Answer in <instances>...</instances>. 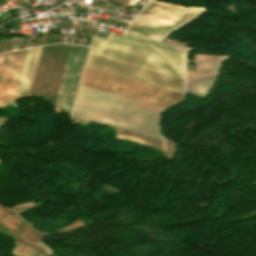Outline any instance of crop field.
<instances>
[{
    "label": "crop field",
    "instance_id": "13",
    "mask_svg": "<svg viewBox=\"0 0 256 256\" xmlns=\"http://www.w3.org/2000/svg\"><path fill=\"white\" fill-rule=\"evenodd\" d=\"M97 30L98 29H96V28L85 26V28L82 32V35L88 36V37H93V35L96 33Z\"/></svg>",
    "mask_w": 256,
    "mask_h": 256
},
{
    "label": "crop field",
    "instance_id": "9",
    "mask_svg": "<svg viewBox=\"0 0 256 256\" xmlns=\"http://www.w3.org/2000/svg\"><path fill=\"white\" fill-rule=\"evenodd\" d=\"M218 74L186 71V92L204 98Z\"/></svg>",
    "mask_w": 256,
    "mask_h": 256
},
{
    "label": "crop field",
    "instance_id": "11",
    "mask_svg": "<svg viewBox=\"0 0 256 256\" xmlns=\"http://www.w3.org/2000/svg\"><path fill=\"white\" fill-rule=\"evenodd\" d=\"M117 138L134 141L163 150V141L118 129Z\"/></svg>",
    "mask_w": 256,
    "mask_h": 256
},
{
    "label": "crop field",
    "instance_id": "17",
    "mask_svg": "<svg viewBox=\"0 0 256 256\" xmlns=\"http://www.w3.org/2000/svg\"><path fill=\"white\" fill-rule=\"evenodd\" d=\"M77 123H85V121H81V120H77V119H76V124H77Z\"/></svg>",
    "mask_w": 256,
    "mask_h": 256
},
{
    "label": "crop field",
    "instance_id": "14",
    "mask_svg": "<svg viewBox=\"0 0 256 256\" xmlns=\"http://www.w3.org/2000/svg\"><path fill=\"white\" fill-rule=\"evenodd\" d=\"M28 256H48V255L44 251H42L40 248L37 247Z\"/></svg>",
    "mask_w": 256,
    "mask_h": 256
},
{
    "label": "crop field",
    "instance_id": "7",
    "mask_svg": "<svg viewBox=\"0 0 256 256\" xmlns=\"http://www.w3.org/2000/svg\"><path fill=\"white\" fill-rule=\"evenodd\" d=\"M203 10V7H184L158 0H150L142 12L186 24L201 14Z\"/></svg>",
    "mask_w": 256,
    "mask_h": 256
},
{
    "label": "crop field",
    "instance_id": "2",
    "mask_svg": "<svg viewBox=\"0 0 256 256\" xmlns=\"http://www.w3.org/2000/svg\"><path fill=\"white\" fill-rule=\"evenodd\" d=\"M186 50L111 31L104 42L94 39L89 53L184 79Z\"/></svg>",
    "mask_w": 256,
    "mask_h": 256
},
{
    "label": "crop field",
    "instance_id": "5",
    "mask_svg": "<svg viewBox=\"0 0 256 256\" xmlns=\"http://www.w3.org/2000/svg\"><path fill=\"white\" fill-rule=\"evenodd\" d=\"M26 50L6 52L0 55V107L14 99Z\"/></svg>",
    "mask_w": 256,
    "mask_h": 256
},
{
    "label": "crop field",
    "instance_id": "12",
    "mask_svg": "<svg viewBox=\"0 0 256 256\" xmlns=\"http://www.w3.org/2000/svg\"><path fill=\"white\" fill-rule=\"evenodd\" d=\"M14 243L17 245L12 251V254L17 256H26L37 247L21 238L17 239Z\"/></svg>",
    "mask_w": 256,
    "mask_h": 256
},
{
    "label": "crop field",
    "instance_id": "3",
    "mask_svg": "<svg viewBox=\"0 0 256 256\" xmlns=\"http://www.w3.org/2000/svg\"><path fill=\"white\" fill-rule=\"evenodd\" d=\"M81 84L165 107L179 102L183 95L86 67Z\"/></svg>",
    "mask_w": 256,
    "mask_h": 256
},
{
    "label": "crop field",
    "instance_id": "8",
    "mask_svg": "<svg viewBox=\"0 0 256 256\" xmlns=\"http://www.w3.org/2000/svg\"><path fill=\"white\" fill-rule=\"evenodd\" d=\"M40 48H31L27 50L24 66L22 69L20 81L18 84L15 100L28 95L31 80L37 63ZM14 100V99H13Z\"/></svg>",
    "mask_w": 256,
    "mask_h": 256
},
{
    "label": "crop field",
    "instance_id": "10",
    "mask_svg": "<svg viewBox=\"0 0 256 256\" xmlns=\"http://www.w3.org/2000/svg\"><path fill=\"white\" fill-rule=\"evenodd\" d=\"M228 56L195 54L196 70L218 72ZM220 71V70H219Z\"/></svg>",
    "mask_w": 256,
    "mask_h": 256
},
{
    "label": "crop field",
    "instance_id": "18",
    "mask_svg": "<svg viewBox=\"0 0 256 256\" xmlns=\"http://www.w3.org/2000/svg\"><path fill=\"white\" fill-rule=\"evenodd\" d=\"M1 162V161H0Z\"/></svg>",
    "mask_w": 256,
    "mask_h": 256
},
{
    "label": "crop field",
    "instance_id": "4",
    "mask_svg": "<svg viewBox=\"0 0 256 256\" xmlns=\"http://www.w3.org/2000/svg\"><path fill=\"white\" fill-rule=\"evenodd\" d=\"M86 67L171 89L174 91H184V80L172 76L160 74L124 63L112 61L94 55H88Z\"/></svg>",
    "mask_w": 256,
    "mask_h": 256
},
{
    "label": "crop field",
    "instance_id": "15",
    "mask_svg": "<svg viewBox=\"0 0 256 256\" xmlns=\"http://www.w3.org/2000/svg\"><path fill=\"white\" fill-rule=\"evenodd\" d=\"M18 49V37L12 39V50Z\"/></svg>",
    "mask_w": 256,
    "mask_h": 256
},
{
    "label": "crop field",
    "instance_id": "6",
    "mask_svg": "<svg viewBox=\"0 0 256 256\" xmlns=\"http://www.w3.org/2000/svg\"><path fill=\"white\" fill-rule=\"evenodd\" d=\"M183 25L140 12L126 31L161 41L166 35Z\"/></svg>",
    "mask_w": 256,
    "mask_h": 256
},
{
    "label": "crop field",
    "instance_id": "1",
    "mask_svg": "<svg viewBox=\"0 0 256 256\" xmlns=\"http://www.w3.org/2000/svg\"><path fill=\"white\" fill-rule=\"evenodd\" d=\"M164 108L81 85L72 116L162 139L157 117Z\"/></svg>",
    "mask_w": 256,
    "mask_h": 256
},
{
    "label": "crop field",
    "instance_id": "16",
    "mask_svg": "<svg viewBox=\"0 0 256 256\" xmlns=\"http://www.w3.org/2000/svg\"><path fill=\"white\" fill-rule=\"evenodd\" d=\"M112 20H116V21H120V22H124V23H128L129 24V20H125V19H120V18H116V17H113Z\"/></svg>",
    "mask_w": 256,
    "mask_h": 256
}]
</instances>
